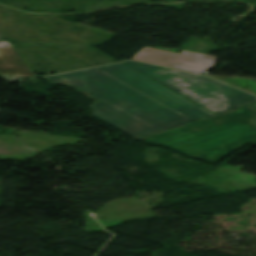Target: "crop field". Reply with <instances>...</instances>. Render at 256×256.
I'll return each mask as SVG.
<instances>
[{
	"label": "crop field",
	"mask_w": 256,
	"mask_h": 256,
	"mask_svg": "<svg viewBox=\"0 0 256 256\" xmlns=\"http://www.w3.org/2000/svg\"><path fill=\"white\" fill-rule=\"evenodd\" d=\"M2 38H4V36L1 34V32H0V39H2Z\"/></svg>",
	"instance_id": "6"
},
{
	"label": "crop field",
	"mask_w": 256,
	"mask_h": 256,
	"mask_svg": "<svg viewBox=\"0 0 256 256\" xmlns=\"http://www.w3.org/2000/svg\"><path fill=\"white\" fill-rule=\"evenodd\" d=\"M191 158L217 162L247 143L256 144V116L248 106L141 138Z\"/></svg>",
	"instance_id": "2"
},
{
	"label": "crop field",
	"mask_w": 256,
	"mask_h": 256,
	"mask_svg": "<svg viewBox=\"0 0 256 256\" xmlns=\"http://www.w3.org/2000/svg\"><path fill=\"white\" fill-rule=\"evenodd\" d=\"M34 75L35 72L9 42H0V76L12 82Z\"/></svg>",
	"instance_id": "5"
},
{
	"label": "crop field",
	"mask_w": 256,
	"mask_h": 256,
	"mask_svg": "<svg viewBox=\"0 0 256 256\" xmlns=\"http://www.w3.org/2000/svg\"><path fill=\"white\" fill-rule=\"evenodd\" d=\"M132 60L177 68L202 74L216 59L213 56L183 50L180 54L145 47Z\"/></svg>",
	"instance_id": "4"
},
{
	"label": "crop field",
	"mask_w": 256,
	"mask_h": 256,
	"mask_svg": "<svg viewBox=\"0 0 256 256\" xmlns=\"http://www.w3.org/2000/svg\"><path fill=\"white\" fill-rule=\"evenodd\" d=\"M46 79L94 98L93 116L134 139L214 115L121 63Z\"/></svg>",
	"instance_id": "1"
},
{
	"label": "crop field",
	"mask_w": 256,
	"mask_h": 256,
	"mask_svg": "<svg viewBox=\"0 0 256 256\" xmlns=\"http://www.w3.org/2000/svg\"><path fill=\"white\" fill-rule=\"evenodd\" d=\"M122 63L178 91L215 114L256 102V96L202 75L134 61H124Z\"/></svg>",
	"instance_id": "3"
}]
</instances>
